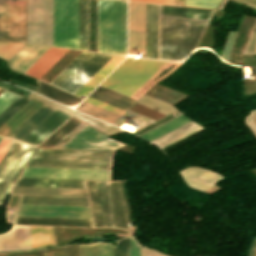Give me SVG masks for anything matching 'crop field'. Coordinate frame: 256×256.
I'll list each match as a JSON object with an SVG mask.
<instances>
[{
	"label": "crop field",
	"instance_id": "crop-field-24",
	"mask_svg": "<svg viewBox=\"0 0 256 256\" xmlns=\"http://www.w3.org/2000/svg\"><path fill=\"white\" fill-rule=\"evenodd\" d=\"M38 81V80H37ZM38 84L40 86L39 90L37 91V93L42 94L46 97H49L51 99H54L58 102H61L63 104H67V105H76L78 104L81 100L71 96L65 92H62L56 88H53L47 84H44L40 81H38Z\"/></svg>",
	"mask_w": 256,
	"mask_h": 256
},
{
	"label": "crop field",
	"instance_id": "crop-field-13",
	"mask_svg": "<svg viewBox=\"0 0 256 256\" xmlns=\"http://www.w3.org/2000/svg\"><path fill=\"white\" fill-rule=\"evenodd\" d=\"M68 117V115L55 110L23 139H21V141L37 145Z\"/></svg>",
	"mask_w": 256,
	"mask_h": 256
},
{
	"label": "crop field",
	"instance_id": "crop-field-15",
	"mask_svg": "<svg viewBox=\"0 0 256 256\" xmlns=\"http://www.w3.org/2000/svg\"><path fill=\"white\" fill-rule=\"evenodd\" d=\"M49 47L26 44L10 61L9 67L24 73Z\"/></svg>",
	"mask_w": 256,
	"mask_h": 256
},
{
	"label": "crop field",
	"instance_id": "crop-field-32",
	"mask_svg": "<svg viewBox=\"0 0 256 256\" xmlns=\"http://www.w3.org/2000/svg\"><path fill=\"white\" fill-rule=\"evenodd\" d=\"M129 251V235L121 240L116 241L113 246V256H128Z\"/></svg>",
	"mask_w": 256,
	"mask_h": 256
},
{
	"label": "crop field",
	"instance_id": "crop-field-38",
	"mask_svg": "<svg viewBox=\"0 0 256 256\" xmlns=\"http://www.w3.org/2000/svg\"><path fill=\"white\" fill-rule=\"evenodd\" d=\"M244 122L247 124L253 135L256 137V111L249 112V115L245 117Z\"/></svg>",
	"mask_w": 256,
	"mask_h": 256
},
{
	"label": "crop field",
	"instance_id": "crop-field-41",
	"mask_svg": "<svg viewBox=\"0 0 256 256\" xmlns=\"http://www.w3.org/2000/svg\"><path fill=\"white\" fill-rule=\"evenodd\" d=\"M129 256H140V245L131 236Z\"/></svg>",
	"mask_w": 256,
	"mask_h": 256
},
{
	"label": "crop field",
	"instance_id": "crop-field-16",
	"mask_svg": "<svg viewBox=\"0 0 256 256\" xmlns=\"http://www.w3.org/2000/svg\"><path fill=\"white\" fill-rule=\"evenodd\" d=\"M214 173L197 167H190L180 171V174L186 184L201 191H204L215 185V181L222 178L216 175L217 173Z\"/></svg>",
	"mask_w": 256,
	"mask_h": 256
},
{
	"label": "crop field",
	"instance_id": "crop-field-48",
	"mask_svg": "<svg viewBox=\"0 0 256 256\" xmlns=\"http://www.w3.org/2000/svg\"><path fill=\"white\" fill-rule=\"evenodd\" d=\"M0 3L25 5V0H0Z\"/></svg>",
	"mask_w": 256,
	"mask_h": 256
},
{
	"label": "crop field",
	"instance_id": "crop-field-14",
	"mask_svg": "<svg viewBox=\"0 0 256 256\" xmlns=\"http://www.w3.org/2000/svg\"><path fill=\"white\" fill-rule=\"evenodd\" d=\"M30 248L29 226H13L11 231L0 235V251Z\"/></svg>",
	"mask_w": 256,
	"mask_h": 256
},
{
	"label": "crop field",
	"instance_id": "crop-field-44",
	"mask_svg": "<svg viewBox=\"0 0 256 256\" xmlns=\"http://www.w3.org/2000/svg\"><path fill=\"white\" fill-rule=\"evenodd\" d=\"M134 1L155 2V3H165V4H175V5L182 4V0H134Z\"/></svg>",
	"mask_w": 256,
	"mask_h": 256
},
{
	"label": "crop field",
	"instance_id": "crop-field-27",
	"mask_svg": "<svg viewBox=\"0 0 256 256\" xmlns=\"http://www.w3.org/2000/svg\"><path fill=\"white\" fill-rule=\"evenodd\" d=\"M73 116L79 118L80 120L84 121L85 123L91 125L92 127L96 128L97 130L103 132L104 134H106L108 136L118 134V133H121V132H125L123 130H120L118 128H115L113 126L105 124L103 122H100L96 119H93L91 117H88L86 115L78 113L76 111H74Z\"/></svg>",
	"mask_w": 256,
	"mask_h": 256
},
{
	"label": "crop field",
	"instance_id": "crop-field-5",
	"mask_svg": "<svg viewBox=\"0 0 256 256\" xmlns=\"http://www.w3.org/2000/svg\"><path fill=\"white\" fill-rule=\"evenodd\" d=\"M53 46L78 49V0H53Z\"/></svg>",
	"mask_w": 256,
	"mask_h": 256
},
{
	"label": "crop field",
	"instance_id": "crop-field-35",
	"mask_svg": "<svg viewBox=\"0 0 256 256\" xmlns=\"http://www.w3.org/2000/svg\"><path fill=\"white\" fill-rule=\"evenodd\" d=\"M251 32H256V22ZM242 54H256V33H251Z\"/></svg>",
	"mask_w": 256,
	"mask_h": 256
},
{
	"label": "crop field",
	"instance_id": "crop-field-11",
	"mask_svg": "<svg viewBox=\"0 0 256 256\" xmlns=\"http://www.w3.org/2000/svg\"><path fill=\"white\" fill-rule=\"evenodd\" d=\"M124 145L86 125L61 148L116 150Z\"/></svg>",
	"mask_w": 256,
	"mask_h": 256
},
{
	"label": "crop field",
	"instance_id": "crop-field-29",
	"mask_svg": "<svg viewBox=\"0 0 256 256\" xmlns=\"http://www.w3.org/2000/svg\"><path fill=\"white\" fill-rule=\"evenodd\" d=\"M30 99L20 96L0 114V126L21 109Z\"/></svg>",
	"mask_w": 256,
	"mask_h": 256
},
{
	"label": "crop field",
	"instance_id": "crop-field-2",
	"mask_svg": "<svg viewBox=\"0 0 256 256\" xmlns=\"http://www.w3.org/2000/svg\"><path fill=\"white\" fill-rule=\"evenodd\" d=\"M98 52L126 56V2L98 0Z\"/></svg>",
	"mask_w": 256,
	"mask_h": 256
},
{
	"label": "crop field",
	"instance_id": "crop-field-6",
	"mask_svg": "<svg viewBox=\"0 0 256 256\" xmlns=\"http://www.w3.org/2000/svg\"><path fill=\"white\" fill-rule=\"evenodd\" d=\"M27 42L52 46V0H27Z\"/></svg>",
	"mask_w": 256,
	"mask_h": 256
},
{
	"label": "crop field",
	"instance_id": "crop-field-8",
	"mask_svg": "<svg viewBox=\"0 0 256 256\" xmlns=\"http://www.w3.org/2000/svg\"><path fill=\"white\" fill-rule=\"evenodd\" d=\"M0 41L25 42V6L0 4Z\"/></svg>",
	"mask_w": 256,
	"mask_h": 256
},
{
	"label": "crop field",
	"instance_id": "crop-field-25",
	"mask_svg": "<svg viewBox=\"0 0 256 256\" xmlns=\"http://www.w3.org/2000/svg\"><path fill=\"white\" fill-rule=\"evenodd\" d=\"M77 110L112 124L120 115L83 101Z\"/></svg>",
	"mask_w": 256,
	"mask_h": 256
},
{
	"label": "crop field",
	"instance_id": "crop-field-19",
	"mask_svg": "<svg viewBox=\"0 0 256 256\" xmlns=\"http://www.w3.org/2000/svg\"><path fill=\"white\" fill-rule=\"evenodd\" d=\"M89 97L126 111L135 101L114 92L97 87Z\"/></svg>",
	"mask_w": 256,
	"mask_h": 256
},
{
	"label": "crop field",
	"instance_id": "crop-field-10",
	"mask_svg": "<svg viewBox=\"0 0 256 256\" xmlns=\"http://www.w3.org/2000/svg\"><path fill=\"white\" fill-rule=\"evenodd\" d=\"M16 216L91 218L89 206L20 204Z\"/></svg>",
	"mask_w": 256,
	"mask_h": 256
},
{
	"label": "crop field",
	"instance_id": "crop-field-26",
	"mask_svg": "<svg viewBox=\"0 0 256 256\" xmlns=\"http://www.w3.org/2000/svg\"><path fill=\"white\" fill-rule=\"evenodd\" d=\"M80 121L73 117H70L65 123H63L55 132H53L44 142L38 147L51 148L57 143L65 134H67L75 125Z\"/></svg>",
	"mask_w": 256,
	"mask_h": 256
},
{
	"label": "crop field",
	"instance_id": "crop-field-36",
	"mask_svg": "<svg viewBox=\"0 0 256 256\" xmlns=\"http://www.w3.org/2000/svg\"><path fill=\"white\" fill-rule=\"evenodd\" d=\"M28 97L33 98V99H35V100H38V101H40V102H43V103H45V104H48V105H50V106H52V107H54V108H56V109H59V110L65 112V113H67V114H69V115H70L71 112H72L71 109H69V108H67V107H64V106H62V105H59V104H57V103H55V102H52V101H50V100H48V99H45V98H43V97H40V96H38V95H36V94H34V93H32V92L28 95Z\"/></svg>",
	"mask_w": 256,
	"mask_h": 256
},
{
	"label": "crop field",
	"instance_id": "crop-field-33",
	"mask_svg": "<svg viewBox=\"0 0 256 256\" xmlns=\"http://www.w3.org/2000/svg\"><path fill=\"white\" fill-rule=\"evenodd\" d=\"M243 17H244V16L241 17V19H240V21H239V23H238V27H237L236 32H232V31L229 32V34H228V36H227V39H226V41H225V44H224V46H223V48H222V55H221V58L224 59V60H226V61H228L229 51H230V49H231V46H232L233 41H234V39H235V36H236V34H237V32H238V29H239V27H240V24H241V22H242Z\"/></svg>",
	"mask_w": 256,
	"mask_h": 256
},
{
	"label": "crop field",
	"instance_id": "crop-field-9",
	"mask_svg": "<svg viewBox=\"0 0 256 256\" xmlns=\"http://www.w3.org/2000/svg\"><path fill=\"white\" fill-rule=\"evenodd\" d=\"M128 53L145 55V4L128 2Z\"/></svg>",
	"mask_w": 256,
	"mask_h": 256
},
{
	"label": "crop field",
	"instance_id": "crop-field-49",
	"mask_svg": "<svg viewBox=\"0 0 256 256\" xmlns=\"http://www.w3.org/2000/svg\"><path fill=\"white\" fill-rule=\"evenodd\" d=\"M246 1H250V2H254V3H256V0H246Z\"/></svg>",
	"mask_w": 256,
	"mask_h": 256
},
{
	"label": "crop field",
	"instance_id": "crop-field-30",
	"mask_svg": "<svg viewBox=\"0 0 256 256\" xmlns=\"http://www.w3.org/2000/svg\"><path fill=\"white\" fill-rule=\"evenodd\" d=\"M24 44L0 43V57L9 60Z\"/></svg>",
	"mask_w": 256,
	"mask_h": 256
},
{
	"label": "crop field",
	"instance_id": "crop-field-3",
	"mask_svg": "<svg viewBox=\"0 0 256 256\" xmlns=\"http://www.w3.org/2000/svg\"><path fill=\"white\" fill-rule=\"evenodd\" d=\"M165 63L126 58L100 85L130 97Z\"/></svg>",
	"mask_w": 256,
	"mask_h": 256
},
{
	"label": "crop field",
	"instance_id": "crop-field-1",
	"mask_svg": "<svg viewBox=\"0 0 256 256\" xmlns=\"http://www.w3.org/2000/svg\"><path fill=\"white\" fill-rule=\"evenodd\" d=\"M208 20L160 15V59L182 60L194 49Z\"/></svg>",
	"mask_w": 256,
	"mask_h": 256
},
{
	"label": "crop field",
	"instance_id": "crop-field-39",
	"mask_svg": "<svg viewBox=\"0 0 256 256\" xmlns=\"http://www.w3.org/2000/svg\"><path fill=\"white\" fill-rule=\"evenodd\" d=\"M85 101L90 102V103H92V104H95V105H97V106L103 107V108H105V109H108V110L113 111V112H115V113H118V114H120V115H122V114L124 113V111H122V110H119V109L114 108V107H112V106L106 105V104H104V103H101V102L96 101V100H94V99H91V98H89V97H87V98L85 99Z\"/></svg>",
	"mask_w": 256,
	"mask_h": 256
},
{
	"label": "crop field",
	"instance_id": "crop-field-21",
	"mask_svg": "<svg viewBox=\"0 0 256 256\" xmlns=\"http://www.w3.org/2000/svg\"><path fill=\"white\" fill-rule=\"evenodd\" d=\"M202 127H200L199 125L195 124L194 122H189L153 141H151L150 143L156 145L159 149L200 129Z\"/></svg>",
	"mask_w": 256,
	"mask_h": 256
},
{
	"label": "crop field",
	"instance_id": "crop-field-43",
	"mask_svg": "<svg viewBox=\"0 0 256 256\" xmlns=\"http://www.w3.org/2000/svg\"><path fill=\"white\" fill-rule=\"evenodd\" d=\"M11 142V139L3 138L2 142L0 143V160L2 159Z\"/></svg>",
	"mask_w": 256,
	"mask_h": 256
},
{
	"label": "crop field",
	"instance_id": "crop-field-47",
	"mask_svg": "<svg viewBox=\"0 0 256 256\" xmlns=\"http://www.w3.org/2000/svg\"><path fill=\"white\" fill-rule=\"evenodd\" d=\"M64 256H74V245L64 246Z\"/></svg>",
	"mask_w": 256,
	"mask_h": 256
},
{
	"label": "crop field",
	"instance_id": "crop-field-28",
	"mask_svg": "<svg viewBox=\"0 0 256 256\" xmlns=\"http://www.w3.org/2000/svg\"><path fill=\"white\" fill-rule=\"evenodd\" d=\"M137 103L152 108L166 115L176 111L173 106L144 95Z\"/></svg>",
	"mask_w": 256,
	"mask_h": 256
},
{
	"label": "crop field",
	"instance_id": "crop-field-23",
	"mask_svg": "<svg viewBox=\"0 0 256 256\" xmlns=\"http://www.w3.org/2000/svg\"><path fill=\"white\" fill-rule=\"evenodd\" d=\"M32 248L54 245L53 227L30 226Z\"/></svg>",
	"mask_w": 256,
	"mask_h": 256
},
{
	"label": "crop field",
	"instance_id": "crop-field-46",
	"mask_svg": "<svg viewBox=\"0 0 256 256\" xmlns=\"http://www.w3.org/2000/svg\"><path fill=\"white\" fill-rule=\"evenodd\" d=\"M141 255L142 256H166L161 253H158L156 251H153L151 249H148L146 247L141 246Z\"/></svg>",
	"mask_w": 256,
	"mask_h": 256
},
{
	"label": "crop field",
	"instance_id": "crop-field-7",
	"mask_svg": "<svg viewBox=\"0 0 256 256\" xmlns=\"http://www.w3.org/2000/svg\"><path fill=\"white\" fill-rule=\"evenodd\" d=\"M34 145L13 140L0 162V206L21 169L34 149Z\"/></svg>",
	"mask_w": 256,
	"mask_h": 256
},
{
	"label": "crop field",
	"instance_id": "crop-field-40",
	"mask_svg": "<svg viewBox=\"0 0 256 256\" xmlns=\"http://www.w3.org/2000/svg\"><path fill=\"white\" fill-rule=\"evenodd\" d=\"M99 256H112V243H99Z\"/></svg>",
	"mask_w": 256,
	"mask_h": 256
},
{
	"label": "crop field",
	"instance_id": "crop-field-50",
	"mask_svg": "<svg viewBox=\"0 0 256 256\" xmlns=\"http://www.w3.org/2000/svg\"><path fill=\"white\" fill-rule=\"evenodd\" d=\"M1 140H2V137H0V142H1Z\"/></svg>",
	"mask_w": 256,
	"mask_h": 256
},
{
	"label": "crop field",
	"instance_id": "crop-field-12",
	"mask_svg": "<svg viewBox=\"0 0 256 256\" xmlns=\"http://www.w3.org/2000/svg\"><path fill=\"white\" fill-rule=\"evenodd\" d=\"M20 177L110 180V171L24 168Z\"/></svg>",
	"mask_w": 256,
	"mask_h": 256
},
{
	"label": "crop field",
	"instance_id": "crop-field-17",
	"mask_svg": "<svg viewBox=\"0 0 256 256\" xmlns=\"http://www.w3.org/2000/svg\"><path fill=\"white\" fill-rule=\"evenodd\" d=\"M68 50L50 47L25 74L40 78L53 64H55Z\"/></svg>",
	"mask_w": 256,
	"mask_h": 256
},
{
	"label": "crop field",
	"instance_id": "crop-field-4",
	"mask_svg": "<svg viewBox=\"0 0 256 256\" xmlns=\"http://www.w3.org/2000/svg\"><path fill=\"white\" fill-rule=\"evenodd\" d=\"M111 57L82 52L50 84L74 94Z\"/></svg>",
	"mask_w": 256,
	"mask_h": 256
},
{
	"label": "crop field",
	"instance_id": "crop-field-42",
	"mask_svg": "<svg viewBox=\"0 0 256 256\" xmlns=\"http://www.w3.org/2000/svg\"><path fill=\"white\" fill-rule=\"evenodd\" d=\"M0 256H44V253H40V250H38L32 252L6 253L0 254Z\"/></svg>",
	"mask_w": 256,
	"mask_h": 256
},
{
	"label": "crop field",
	"instance_id": "crop-field-18",
	"mask_svg": "<svg viewBox=\"0 0 256 256\" xmlns=\"http://www.w3.org/2000/svg\"><path fill=\"white\" fill-rule=\"evenodd\" d=\"M53 111L54 109L49 108L43 104L18 127H16L10 134H8L7 137L20 140Z\"/></svg>",
	"mask_w": 256,
	"mask_h": 256
},
{
	"label": "crop field",
	"instance_id": "crop-field-20",
	"mask_svg": "<svg viewBox=\"0 0 256 256\" xmlns=\"http://www.w3.org/2000/svg\"><path fill=\"white\" fill-rule=\"evenodd\" d=\"M125 57L113 56L94 76H92L75 95L86 96L104 77H106Z\"/></svg>",
	"mask_w": 256,
	"mask_h": 256
},
{
	"label": "crop field",
	"instance_id": "crop-field-45",
	"mask_svg": "<svg viewBox=\"0 0 256 256\" xmlns=\"http://www.w3.org/2000/svg\"><path fill=\"white\" fill-rule=\"evenodd\" d=\"M47 256H63V246L47 249Z\"/></svg>",
	"mask_w": 256,
	"mask_h": 256
},
{
	"label": "crop field",
	"instance_id": "crop-field-37",
	"mask_svg": "<svg viewBox=\"0 0 256 256\" xmlns=\"http://www.w3.org/2000/svg\"><path fill=\"white\" fill-rule=\"evenodd\" d=\"M85 124L79 123L76 127H74L66 136H64L56 145L52 148H60L63 144H65L72 136H74L81 128H83Z\"/></svg>",
	"mask_w": 256,
	"mask_h": 256
},
{
	"label": "crop field",
	"instance_id": "crop-field-34",
	"mask_svg": "<svg viewBox=\"0 0 256 256\" xmlns=\"http://www.w3.org/2000/svg\"><path fill=\"white\" fill-rule=\"evenodd\" d=\"M19 95L14 94L12 92H9L5 90L1 95H0V113L7 108L15 99H17Z\"/></svg>",
	"mask_w": 256,
	"mask_h": 256
},
{
	"label": "crop field",
	"instance_id": "crop-field-31",
	"mask_svg": "<svg viewBox=\"0 0 256 256\" xmlns=\"http://www.w3.org/2000/svg\"><path fill=\"white\" fill-rule=\"evenodd\" d=\"M221 0H184L183 6L215 9Z\"/></svg>",
	"mask_w": 256,
	"mask_h": 256
},
{
	"label": "crop field",
	"instance_id": "crop-field-22",
	"mask_svg": "<svg viewBox=\"0 0 256 256\" xmlns=\"http://www.w3.org/2000/svg\"><path fill=\"white\" fill-rule=\"evenodd\" d=\"M41 105L42 103L31 100L0 127V135L6 136Z\"/></svg>",
	"mask_w": 256,
	"mask_h": 256
}]
</instances>
